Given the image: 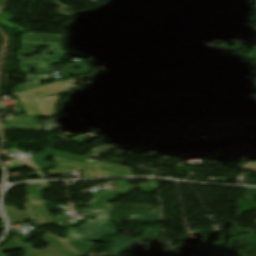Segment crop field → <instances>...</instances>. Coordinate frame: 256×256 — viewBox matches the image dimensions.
Masks as SVG:
<instances>
[{"mask_svg": "<svg viewBox=\"0 0 256 256\" xmlns=\"http://www.w3.org/2000/svg\"><path fill=\"white\" fill-rule=\"evenodd\" d=\"M44 79H48V80L51 79V75L28 76L25 83L16 86L15 89L9 90V92L13 93V92L40 86L41 85L40 81H44ZM29 81L32 83H29Z\"/></svg>", "mask_w": 256, "mask_h": 256, "instance_id": "crop-field-6", "label": "crop field"}, {"mask_svg": "<svg viewBox=\"0 0 256 256\" xmlns=\"http://www.w3.org/2000/svg\"><path fill=\"white\" fill-rule=\"evenodd\" d=\"M53 158L56 168L36 171V173L46 179V176L42 175L41 172L46 171L49 172L50 175H54L57 174V172H75V170H82L83 176H85V178L98 177L97 168L94 165L55 156H53Z\"/></svg>", "mask_w": 256, "mask_h": 256, "instance_id": "crop-field-3", "label": "crop field"}, {"mask_svg": "<svg viewBox=\"0 0 256 256\" xmlns=\"http://www.w3.org/2000/svg\"><path fill=\"white\" fill-rule=\"evenodd\" d=\"M45 37H50L45 39ZM63 36L58 35H46V34H33V33H23L22 34V43L23 49L19 51L18 55H33L40 45L51 47L49 50L45 51L39 56L33 58L42 59L47 58L51 61L61 62L64 58V51L61 50V39ZM41 41H46L47 43H42ZM47 53H54L52 56H47Z\"/></svg>", "mask_w": 256, "mask_h": 256, "instance_id": "crop-field-1", "label": "crop field"}, {"mask_svg": "<svg viewBox=\"0 0 256 256\" xmlns=\"http://www.w3.org/2000/svg\"><path fill=\"white\" fill-rule=\"evenodd\" d=\"M13 18H14V16H12L10 14H7L3 11L0 12V24L4 25V26H6V27H8L12 30L17 29V30L22 31V32L28 31V30H26V29H24V28H22V27H20L16 24H12V23L6 21V19L11 21Z\"/></svg>", "mask_w": 256, "mask_h": 256, "instance_id": "crop-field-8", "label": "crop field"}, {"mask_svg": "<svg viewBox=\"0 0 256 256\" xmlns=\"http://www.w3.org/2000/svg\"><path fill=\"white\" fill-rule=\"evenodd\" d=\"M134 219H142L144 221H159L161 220L160 213L157 212V210H152L149 212V214L141 215V216H131V221Z\"/></svg>", "mask_w": 256, "mask_h": 256, "instance_id": "crop-field-10", "label": "crop field"}, {"mask_svg": "<svg viewBox=\"0 0 256 256\" xmlns=\"http://www.w3.org/2000/svg\"><path fill=\"white\" fill-rule=\"evenodd\" d=\"M102 177L108 176H133L132 169L101 163L99 166Z\"/></svg>", "mask_w": 256, "mask_h": 256, "instance_id": "crop-field-5", "label": "crop field"}, {"mask_svg": "<svg viewBox=\"0 0 256 256\" xmlns=\"http://www.w3.org/2000/svg\"><path fill=\"white\" fill-rule=\"evenodd\" d=\"M5 0H0V7L2 6V4L4 3Z\"/></svg>", "mask_w": 256, "mask_h": 256, "instance_id": "crop-field-13", "label": "crop field"}, {"mask_svg": "<svg viewBox=\"0 0 256 256\" xmlns=\"http://www.w3.org/2000/svg\"><path fill=\"white\" fill-rule=\"evenodd\" d=\"M96 221L89 220V223L82 225L81 229L68 228V238L82 240V241H96L99 242L100 238L109 234H115L116 231L108 230V222L100 221L97 225Z\"/></svg>", "mask_w": 256, "mask_h": 256, "instance_id": "crop-field-2", "label": "crop field"}, {"mask_svg": "<svg viewBox=\"0 0 256 256\" xmlns=\"http://www.w3.org/2000/svg\"><path fill=\"white\" fill-rule=\"evenodd\" d=\"M75 66L81 69H74ZM62 73H76V72H89L91 71L90 67L85 63L69 64L61 68Z\"/></svg>", "mask_w": 256, "mask_h": 256, "instance_id": "crop-field-9", "label": "crop field"}, {"mask_svg": "<svg viewBox=\"0 0 256 256\" xmlns=\"http://www.w3.org/2000/svg\"><path fill=\"white\" fill-rule=\"evenodd\" d=\"M16 59L21 63L19 65L22 74H30L29 68L34 67L37 73H50V63L56 62H44L42 60L32 59V58H23L16 56ZM43 65H46L43 67Z\"/></svg>", "mask_w": 256, "mask_h": 256, "instance_id": "crop-field-4", "label": "crop field"}, {"mask_svg": "<svg viewBox=\"0 0 256 256\" xmlns=\"http://www.w3.org/2000/svg\"><path fill=\"white\" fill-rule=\"evenodd\" d=\"M83 74H87V73L63 74V76H64V78L68 79L69 77H67L66 75H72V76L76 77V76H80V75H83Z\"/></svg>", "mask_w": 256, "mask_h": 256, "instance_id": "crop-field-11", "label": "crop field"}, {"mask_svg": "<svg viewBox=\"0 0 256 256\" xmlns=\"http://www.w3.org/2000/svg\"><path fill=\"white\" fill-rule=\"evenodd\" d=\"M112 208L111 205L107 204L102 210L98 209H82L84 212H88V219H90L91 215H97V219L99 220H109L108 218V211Z\"/></svg>", "mask_w": 256, "mask_h": 256, "instance_id": "crop-field-7", "label": "crop field"}, {"mask_svg": "<svg viewBox=\"0 0 256 256\" xmlns=\"http://www.w3.org/2000/svg\"><path fill=\"white\" fill-rule=\"evenodd\" d=\"M245 169H248V170H256V166L247 165Z\"/></svg>", "mask_w": 256, "mask_h": 256, "instance_id": "crop-field-12", "label": "crop field"}]
</instances>
